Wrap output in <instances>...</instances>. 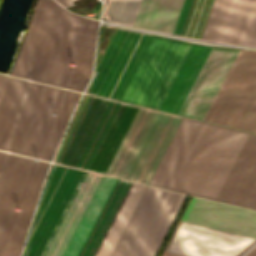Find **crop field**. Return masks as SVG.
<instances>
[{"mask_svg":"<svg viewBox=\"0 0 256 256\" xmlns=\"http://www.w3.org/2000/svg\"><path fill=\"white\" fill-rule=\"evenodd\" d=\"M180 119L89 95L55 162L148 184Z\"/></svg>","mask_w":256,"mask_h":256,"instance_id":"obj_1","label":"crop field"},{"mask_svg":"<svg viewBox=\"0 0 256 256\" xmlns=\"http://www.w3.org/2000/svg\"><path fill=\"white\" fill-rule=\"evenodd\" d=\"M149 185L256 210V134L182 117Z\"/></svg>","mask_w":256,"mask_h":256,"instance_id":"obj_2","label":"crop field"},{"mask_svg":"<svg viewBox=\"0 0 256 256\" xmlns=\"http://www.w3.org/2000/svg\"><path fill=\"white\" fill-rule=\"evenodd\" d=\"M97 23L54 0H37L11 75L83 91L91 74Z\"/></svg>","mask_w":256,"mask_h":256,"instance_id":"obj_3","label":"crop field"},{"mask_svg":"<svg viewBox=\"0 0 256 256\" xmlns=\"http://www.w3.org/2000/svg\"><path fill=\"white\" fill-rule=\"evenodd\" d=\"M214 0H106L109 18L126 24L202 36ZM204 38L256 44V0H215Z\"/></svg>","mask_w":256,"mask_h":256,"instance_id":"obj_4","label":"crop field"},{"mask_svg":"<svg viewBox=\"0 0 256 256\" xmlns=\"http://www.w3.org/2000/svg\"><path fill=\"white\" fill-rule=\"evenodd\" d=\"M8 78L0 74V100ZM80 94L10 77L0 103V150L50 161Z\"/></svg>","mask_w":256,"mask_h":256,"instance_id":"obj_5","label":"crop field"},{"mask_svg":"<svg viewBox=\"0 0 256 256\" xmlns=\"http://www.w3.org/2000/svg\"><path fill=\"white\" fill-rule=\"evenodd\" d=\"M101 178L53 164L23 256H62Z\"/></svg>","mask_w":256,"mask_h":256,"instance_id":"obj_6","label":"crop field"},{"mask_svg":"<svg viewBox=\"0 0 256 256\" xmlns=\"http://www.w3.org/2000/svg\"><path fill=\"white\" fill-rule=\"evenodd\" d=\"M0 152V256H20L50 163ZM19 208L20 212L16 211Z\"/></svg>","mask_w":256,"mask_h":256,"instance_id":"obj_7","label":"crop field"},{"mask_svg":"<svg viewBox=\"0 0 256 256\" xmlns=\"http://www.w3.org/2000/svg\"><path fill=\"white\" fill-rule=\"evenodd\" d=\"M184 197L146 186L115 248L155 256ZM116 249L111 256H143Z\"/></svg>","mask_w":256,"mask_h":256,"instance_id":"obj_8","label":"crop field"},{"mask_svg":"<svg viewBox=\"0 0 256 256\" xmlns=\"http://www.w3.org/2000/svg\"><path fill=\"white\" fill-rule=\"evenodd\" d=\"M189 46L153 35L120 100L158 109Z\"/></svg>","mask_w":256,"mask_h":256,"instance_id":"obj_9","label":"crop field"},{"mask_svg":"<svg viewBox=\"0 0 256 256\" xmlns=\"http://www.w3.org/2000/svg\"><path fill=\"white\" fill-rule=\"evenodd\" d=\"M204 120L256 132V52L239 50Z\"/></svg>","mask_w":256,"mask_h":256,"instance_id":"obj_10","label":"crop field"},{"mask_svg":"<svg viewBox=\"0 0 256 256\" xmlns=\"http://www.w3.org/2000/svg\"><path fill=\"white\" fill-rule=\"evenodd\" d=\"M151 37L117 29L86 92L119 100Z\"/></svg>","mask_w":256,"mask_h":256,"instance_id":"obj_11","label":"crop field"},{"mask_svg":"<svg viewBox=\"0 0 256 256\" xmlns=\"http://www.w3.org/2000/svg\"><path fill=\"white\" fill-rule=\"evenodd\" d=\"M131 182L118 179L79 256H94ZM145 186L132 183L95 256H109Z\"/></svg>","mask_w":256,"mask_h":256,"instance_id":"obj_12","label":"crop field"},{"mask_svg":"<svg viewBox=\"0 0 256 256\" xmlns=\"http://www.w3.org/2000/svg\"><path fill=\"white\" fill-rule=\"evenodd\" d=\"M256 239L179 222L165 250L188 256H240Z\"/></svg>","mask_w":256,"mask_h":256,"instance_id":"obj_13","label":"crop field"},{"mask_svg":"<svg viewBox=\"0 0 256 256\" xmlns=\"http://www.w3.org/2000/svg\"><path fill=\"white\" fill-rule=\"evenodd\" d=\"M182 222L256 238V211L192 197Z\"/></svg>","mask_w":256,"mask_h":256,"instance_id":"obj_14","label":"crop field"},{"mask_svg":"<svg viewBox=\"0 0 256 256\" xmlns=\"http://www.w3.org/2000/svg\"><path fill=\"white\" fill-rule=\"evenodd\" d=\"M238 50L213 47L179 114L203 120Z\"/></svg>","mask_w":256,"mask_h":256,"instance_id":"obj_15","label":"crop field"},{"mask_svg":"<svg viewBox=\"0 0 256 256\" xmlns=\"http://www.w3.org/2000/svg\"><path fill=\"white\" fill-rule=\"evenodd\" d=\"M210 49L211 47L191 44L159 107L160 110L178 114Z\"/></svg>","mask_w":256,"mask_h":256,"instance_id":"obj_16","label":"crop field"},{"mask_svg":"<svg viewBox=\"0 0 256 256\" xmlns=\"http://www.w3.org/2000/svg\"><path fill=\"white\" fill-rule=\"evenodd\" d=\"M117 179L103 176L63 256H78Z\"/></svg>","mask_w":256,"mask_h":256,"instance_id":"obj_17","label":"crop field"},{"mask_svg":"<svg viewBox=\"0 0 256 256\" xmlns=\"http://www.w3.org/2000/svg\"><path fill=\"white\" fill-rule=\"evenodd\" d=\"M162 256H182V255H178V254H174V253L164 251Z\"/></svg>","mask_w":256,"mask_h":256,"instance_id":"obj_18","label":"crop field"},{"mask_svg":"<svg viewBox=\"0 0 256 256\" xmlns=\"http://www.w3.org/2000/svg\"><path fill=\"white\" fill-rule=\"evenodd\" d=\"M246 256H256V247L253 248Z\"/></svg>","mask_w":256,"mask_h":256,"instance_id":"obj_19","label":"crop field"}]
</instances>
